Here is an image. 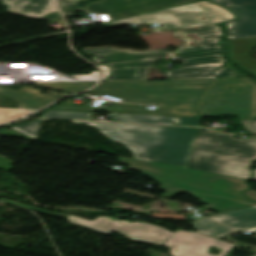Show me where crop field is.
I'll return each instance as SVG.
<instances>
[{"mask_svg":"<svg viewBox=\"0 0 256 256\" xmlns=\"http://www.w3.org/2000/svg\"><path fill=\"white\" fill-rule=\"evenodd\" d=\"M218 79H181L167 82L147 81H106L91 91L125 98L126 102H153L158 105V112H149L145 106L114 103L110 109L78 107L60 104L50 110H69L107 113L143 114L194 117L206 89Z\"/></svg>","mask_w":256,"mask_h":256,"instance_id":"obj_1","label":"crop field"},{"mask_svg":"<svg viewBox=\"0 0 256 256\" xmlns=\"http://www.w3.org/2000/svg\"><path fill=\"white\" fill-rule=\"evenodd\" d=\"M123 163L155 179L164 191H182L209 205L206 209L216 212L256 205L242 195L250 188L246 179L208 172L172 167L152 162L118 157Z\"/></svg>","mask_w":256,"mask_h":256,"instance_id":"obj_2","label":"crop field"},{"mask_svg":"<svg viewBox=\"0 0 256 256\" xmlns=\"http://www.w3.org/2000/svg\"><path fill=\"white\" fill-rule=\"evenodd\" d=\"M96 127L133 151V158L186 168L199 128L74 121ZM98 127H101L100 129Z\"/></svg>","mask_w":256,"mask_h":256,"instance_id":"obj_3","label":"crop field"},{"mask_svg":"<svg viewBox=\"0 0 256 256\" xmlns=\"http://www.w3.org/2000/svg\"><path fill=\"white\" fill-rule=\"evenodd\" d=\"M254 160L255 138L238 140L230 134L200 128L187 168L249 179Z\"/></svg>","mask_w":256,"mask_h":256,"instance_id":"obj_4","label":"crop field"},{"mask_svg":"<svg viewBox=\"0 0 256 256\" xmlns=\"http://www.w3.org/2000/svg\"><path fill=\"white\" fill-rule=\"evenodd\" d=\"M189 33H195L202 37L201 41L188 38ZM222 35L221 29L217 24L203 26L182 31H175L174 36L186 40L188 43L197 41L202 44L201 47L192 48L188 43L173 52V59H182L184 64L182 68L166 71L169 79L180 78H219L233 77L234 72L227 67L216 68L223 64L225 59L222 57L220 46H217L219 37Z\"/></svg>","mask_w":256,"mask_h":256,"instance_id":"obj_5","label":"crop field"},{"mask_svg":"<svg viewBox=\"0 0 256 256\" xmlns=\"http://www.w3.org/2000/svg\"><path fill=\"white\" fill-rule=\"evenodd\" d=\"M222 114L256 119V82L248 78H221L214 84L196 116Z\"/></svg>","mask_w":256,"mask_h":256,"instance_id":"obj_6","label":"crop field"},{"mask_svg":"<svg viewBox=\"0 0 256 256\" xmlns=\"http://www.w3.org/2000/svg\"><path fill=\"white\" fill-rule=\"evenodd\" d=\"M229 10L215 5L207 0L175 8L158 10L155 12L121 19L102 24L106 27L123 23H158L164 30L186 29L209 25L235 19Z\"/></svg>","mask_w":256,"mask_h":256,"instance_id":"obj_7","label":"crop field"},{"mask_svg":"<svg viewBox=\"0 0 256 256\" xmlns=\"http://www.w3.org/2000/svg\"><path fill=\"white\" fill-rule=\"evenodd\" d=\"M58 215L68 219V221L73 224H77L106 234L111 231L118 232L129 239L158 246L163 245L173 235L163 228L155 227L148 223H130L125 220L113 219L106 216H100L94 221L89 222L72 215Z\"/></svg>","mask_w":256,"mask_h":256,"instance_id":"obj_8","label":"crop field"},{"mask_svg":"<svg viewBox=\"0 0 256 256\" xmlns=\"http://www.w3.org/2000/svg\"><path fill=\"white\" fill-rule=\"evenodd\" d=\"M191 0H102L95 3L87 4L86 13L102 14L101 21H107L120 17H125L140 12L189 2ZM80 9L76 4L62 9L65 15Z\"/></svg>","mask_w":256,"mask_h":256,"instance_id":"obj_9","label":"crop field"},{"mask_svg":"<svg viewBox=\"0 0 256 256\" xmlns=\"http://www.w3.org/2000/svg\"><path fill=\"white\" fill-rule=\"evenodd\" d=\"M163 246L171 249L172 256H225L236 245L219 241L195 232L178 230ZM210 246L216 247L220 254H208Z\"/></svg>","mask_w":256,"mask_h":256,"instance_id":"obj_10","label":"crop field"},{"mask_svg":"<svg viewBox=\"0 0 256 256\" xmlns=\"http://www.w3.org/2000/svg\"><path fill=\"white\" fill-rule=\"evenodd\" d=\"M95 58V62H101L112 69L132 68L139 66H153V60L171 57L172 53L164 50L137 52L133 50H116L114 48H102L86 50Z\"/></svg>","mask_w":256,"mask_h":256,"instance_id":"obj_11","label":"crop field"},{"mask_svg":"<svg viewBox=\"0 0 256 256\" xmlns=\"http://www.w3.org/2000/svg\"><path fill=\"white\" fill-rule=\"evenodd\" d=\"M234 11L238 19L228 23L227 39L256 38V0H210Z\"/></svg>","mask_w":256,"mask_h":256,"instance_id":"obj_12","label":"crop field"},{"mask_svg":"<svg viewBox=\"0 0 256 256\" xmlns=\"http://www.w3.org/2000/svg\"><path fill=\"white\" fill-rule=\"evenodd\" d=\"M3 5L8 7L12 14L29 18L43 16L56 10L53 0H3Z\"/></svg>","mask_w":256,"mask_h":256,"instance_id":"obj_13","label":"crop field"},{"mask_svg":"<svg viewBox=\"0 0 256 256\" xmlns=\"http://www.w3.org/2000/svg\"><path fill=\"white\" fill-rule=\"evenodd\" d=\"M0 94L19 100L24 103L28 109H39L58 97L64 96L56 93L40 94L39 89L23 87L17 91H12L4 87H0Z\"/></svg>","mask_w":256,"mask_h":256,"instance_id":"obj_14","label":"crop field"},{"mask_svg":"<svg viewBox=\"0 0 256 256\" xmlns=\"http://www.w3.org/2000/svg\"><path fill=\"white\" fill-rule=\"evenodd\" d=\"M232 46L229 57L241 68L256 76V60L250 57L249 50L256 46V39L227 40Z\"/></svg>","mask_w":256,"mask_h":256,"instance_id":"obj_15","label":"crop field"},{"mask_svg":"<svg viewBox=\"0 0 256 256\" xmlns=\"http://www.w3.org/2000/svg\"><path fill=\"white\" fill-rule=\"evenodd\" d=\"M225 226L239 229L256 226V206L221 212L211 217Z\"/></svg>","mask_w":256,"mask_h":256,"instance_id":"obj_16","label":"crop field"},{"mask_svg":"<svg viewBox=\"0 0 256 256\" xmlns=\"http://www.w3.org/2000/svg\"><path fill=\"white\" fill-rule=\"evenodd\" d=\"M202 118H183V117H163V116H143V115H122L112 114L110 121L116 122H135V123H155L175 125L199 126Z\"/></svg>","mask_w":256,"mask_h":256,"instance_id":"obj_17","label":"crop field"},{"mask_svg":"<svg viewBox=\"0 0 256 256\" xmlns=\"http://www.w3.org/2000/svg\"><path fill=\"white\" fill-rule=\"evenodd\" d=\"M195 222L197 221L192 222V225L197 231L209 234L217 238L225 235L228 232L236 231V229H230L228 227L222 226L209 218L201 219L197 223ZM212 229H215V231H212ZM213 232H216V234H213Z\"/></svg>","mask_w":256,"mask_h":256,"instance_id":"obj_18","label":"crop field"},{"mask_svg":"<svg viewBox=\"0 0 256 256\" xmlns=\"http://www.w3.org/2000/svg\"><path fill=\"white\" fill-rule=\"evenodd\" d=\"M96 82H60V83H41L45 87L64 90L69 93L83 91L93 86Z\"/></svg>","mask_w":256,"mask_h":256,"instance_id":"obj_19","label":"crop field"},{"mask_svg":"<svg viewBox=\"0 0 256 256\" xmlns=\"http://www.w3.org/2000/svg\"><path fill=\"white\" fill-rule=\"evenodd\" d=\"M147 68L112 71L108 80H146Z\"/></svg>","mask_w":256,"mask_h":256,"instance_id":"obj_20","label":"crop field"},{"mask_svg":"<svg viewBox=\"0 0 256 256\" xmlns=\"http://www.w3.org/2000/svg\"><path fill=\"white\" fill-rule=\"evenodd\" d=\"M47 118H59V119H77V120H90L89 113L80 112H67V111H47L42 115Z\"/></svg>","mask_w":256,"mask_h":256,"instance_id":"obj_21","label":"crop field"},{"mask_svg":"<svg viewBox=\"0 0 256 256\" xmlns=\"http://www.w3.org/2000/svg\"><path fill=\"white\" fill-rule=\"evenodd\" d=\"M45 121H48V120L39 119L38 121L28 122L23 125L11 127V129L20 131L27 136L37 139L39 128H40V123L45 122Z\"/></svg>","mask_w":256,"mask_h":256,"instance_id":"obj_22","label":"crop field"},{"mask_svg":"<svg viewBox=\"0 0 256 256\" xmlns=\"http://www.w3.org/2000/svg\"><path fill=\"white\" fill-rule=\"evenodd\" d=\"M33 111L30 110H14V109H0V121L5 123L13 121L22 116H25Z\"/></svg>","mask_w":256,"mask_h":256,"instance_id":"obj_23","label":"crop field"},{"mask_svg":"<svg viewBox=\"0 0 256 256\" xmlns=\"http://www.w3.org/2000/svg\"><path fill=\"white\" fill-rule=\"evenodd\" d=\"M247 132L256 134V120H241Z\"/></svg>","mask_w":256,"mask_h":256,"instance_id":"obj_24","label":"crop field"},{"mask_svg":"<svg viewBox=\"0 0 256 256\" xmlns=\"http://www.w3.org/2000/svg\"><path fill=\"white\" fill-rule=\"evenodd\" d=\"M0 201H4V202L11 203V204H15V205H18V206H21V207H25V208H28V209H31V210H35V211H38V212H42V213H45V214H49V215L53 214V213H49V212L44 211V210H40V209H37V208L26 206V205H23V204H20V203H16V202H13V201H10V200H6V199H3V198H1Z\"/></svg>","mask_w":256,"mask_h":256,"instance_id":"obj_25","label":"crop field"},{"mask_svg":"<svg viewBox=\"0 0 256 256\" xmlns=\"http://www.w3.org/2000/svg\"><path fill=\"white\" fill-rule=\"evenodd\" d=\"M76 79H97L99 78L98 71L96 72H91V75H74L72 76Z\"/></svg>","mask_w":256,"mask_h":256,"instance_id":"obj_26","label":"crop field"},{"mask_svg":"<svg viewBox=\"0 0 256 256\" xmlns=\"http://www.w3.org/2000/svg\"><path fill=\"white\" fill-rule=\"evenodd\" d=\"M10 161L6 160L4 157L0 156V169L3 170H11L12 168L9 166L10 165Z\"/></svg>","mask_w":256,"mask_h":256,"instance_id":"obj_27","label":"crop field"},{"mask_svg":"<svg viewBox=\"0 0 256 256\" xmlns=\"http://www.w3.org/2000/svg\"><path fill=\"white\" fill-rule=\"evenodd\" d=\"M57 18H60V15H59L58 11H56V12H54V13H52V14H49V15H47V16H45V17L39 18V19H51V20H55V19H57Z\"/></svg>","mask_w":256,"mask_h":256,"instance_id":"obj_28","label":"crop field"},{"mask_svg":"<svg viewBox=\"0 0 256 256\" xmlns=\"http://www.w3.org/2000/svg\"><path fill=\"white\" fill-rule=\"evenodd\" d=\"M244 194H245L248 198H250V199L256 201V192H255V191L249 190V191H247V192H244Z\"/></svg>","mask_w":256,"mask_h":256,"instance_id":"obj_29","label":"crop field"},{"mask_svg":"<svg viewBox=\"0 0 256 256\" xmlns=\"http://www.w3.org/2000/svg\"><path fill=\"white\" fill-rule=\"evenodd\" d=\"M176 193L178 192H166L164 195H162L163 197H168L171 198L172 196H174Z\"/></svg>","mask_w":256,"mask_h":256,"instance_id":"obj_30","label":"crop field"},{"mask_svg":"<svg viewBox=\"0 0 256 256\" xmlns=\"http://www.w3.org/2000/svg\"><path fill=\"white\" fill-rule=\"evenodd\" d=\"M110 71H104V79L105 80L109 76Z\"/></svg>","mask_w":256,"mask_h":256,"instance_id":"obj_31","label":"crop field"},{"mask_svg":"<svg viewBox=\"0 0 256 256\" xmlns=\"http://www.w3.org/2000/svg\"><path fill=\"white\" fill-rule=\"evenodd\" d=\"M99 67H101L103 70L110 69V68H108V67H106L104 65H100Z\"/></svg>","mask_w":256,"mask_h":256,"instance_id":"obj_32","label":"crop field"},{"mask_svg":"<svg viewBox=\"0 0 256 256\" xmlns=\"http://www.w3.org/2000/svg\"><path fill=\"white\" fill-rule=\"evenodd\" d=\"M249 231L255 232L256 233V228L250 229Z\"/></svg>","mask_w":256,"mask_h":256,"instance_id":"obj_33","label":"crop field"},{"mask_svg":"<svg viewBox=\"0 0 256 256\" xmlns=\"http://www.w3.org/2000/svg\"><path fill=\"white\" fill-rule=\"evenodd\" d=\"M253 180H256V174H254V177L252 178Z\"/></svg>","mask_w":256,"mask_h":256,"instance_id":"obj_34","label":"crop field"},{"mask_svg":"<svg viewBox=\"0 0 256 256\" xmlns=\"http://www.w3.org/2000/svg\"><path fill=\"white\" fill-rule=\"evenodd\" d=\"M72 1H74V2H80L81 0H72Z\"/></svg>","mask_w":256,"mask_h":256,"instance_id":"obj_35","label":"crop field"},{"mask_svg":"<svg viewBox=\"0 0 256 256\" xmlns=\"http://www.w3.org/2000/svg\"><path fill=\"white\" fill-rule=\"evenodd\" d=\"M254 173H256V169L254 170Z\"/></svg>","mask_w":256,"mask_h":256,"instance_id":"obj_36","label":"crop field"},{"mask_svg":"<svg viewBox=\"0 0 256 256\" xmlns=\"http://www.w3.org/2000/svg\"><path fill=\"white\" fill-rule=\"evenodd\" d=\"M0 124H1V122H0Z\"/></svg>","mask_w":256,"mask_h":256,"instance_id":"obj_37","label":"crop field"}]
</instances>
